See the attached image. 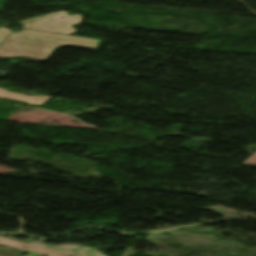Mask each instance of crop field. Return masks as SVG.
Masks as SVG:
<instances>
[{
  "label": "crop field",
  "mask_w": 256,
  "mask_h": 256,
  "mask_svg": "<svg viewBox=\"0 0 256 256\" xmlns=\"http://www.w3.org/2000/svg\"><path fill=\"white\" fill-rule=\"evenodd\" d=\"M24 35H27V37H24ZM16 36L21 39L19 40ZM23 38H27V40H23ZM38 38H41V40H38ZM100 42L88 38L24 29L19 32H12L0 45V58L46 60L58 47L75 46L97 50Z\"/></svg>",
  "instance_id": "obj_1"
},
{
  "label": "crop field",
  "mask_w": 256,
  "mask_h": 256,
  "mask_svg": "<svg viewBox=\"0 0 256 256\" xmlns=\"http://www.w3.org/2000/svg\"><path fill=\"white\" fill-rule=\"evenodd\" d=\"M20 253H29L30 256H105L96 249H87L76 247L65 250L62 248L48 249L41 247L40 243L32 242L24 244L0 237V256H19Z\"/></svg>",
  "instance_id": "obj_2"
},
{
  "label": "crop field",
  "mask_w": 256,
  "mask_h": 256,
  "mask_svg": "<svg viewBox=\"0 0 256 256\" xmlns=\"http://www.w3.org/2000/svg\"><path fill=\"white\" fill-rule=\"evenodd\" d=\"M60 17H64V19H60ZM80 21L81 16H68L67 12L61 11L21 22L28 29L69 34L76 31V29H71L72 25Z\"/></svg>",
  "instance_id": "obj_3"
},
{
  "label": "crop field",
  "mask_w": 256,
  "mask_h": 256,
  "mask_svg": "<svg viewBox=\"0 0 256 256\" xmlns=\"http://www.w3.org/2000/svg\"><path fill=\"white\" fill-rule=\"evenodd\" d=\"M0 97L5 99H14L17 101L27 102L29 104H36V105H43L45 101L51 98V97H44V96H37V97L24 96V95H19V94L11 93L8 91H4L1 89H0Z\"/></svg>",
  "instance_id": "obj_4"
},
{
  "label": "crop field",
  "mask_w": 256,
  "mask_h": 256,
  "mask_svg": "<svg viewBox=\"0 0 256 256\" xmlns=\"http://www.w3.org/2000/svg\"><path fill=\"white\" fill-rule=\"evenodd\" d=\"M11 30L0 28V44L6 39V37L11 33Z\"/></svg>",
  "instance_id": "obj_5"
},
{
  "label": "crop field",
  "mask_w": 256,
  "mask_h": 256,
  "mask_svg": "<svg viewBox=\"0 0 256 256\" xmlns=\"http://www.w3.org/2000/svg\"><path fill=\"white\" fill-rule=\"evenodd\" d=\"M243 164L256 165V153L248 157Z\"/></svg>",
  "instance_id": "obj_6"
},
{
  "label": "crop field",
  "mask_w": 256,
  "mask_h": 256,
  "mask_svg": "<svg viewBox=\"0 0 256 256\" xmlns=\"http://www.w3.org/2000/svg\"><path fill=\"white\" fill-rule=\"evenodd\" d=\"M7 0H0V11Z\"/></svg>",
  "instance_id": "obj_7"
},
{
  "label": "crop field",
  "mask_w": 256,
  "mask_h": 256,
  "mask_svg": "<svg viewBox=\"0 0 256 256\" xmlns=\"http://www.w3.org/2000/svg\"><path fill=\"white\" fill-rule=\"evenodd\" d=\"M42 246H45V245L42 244ZM45 247H46V246H45ZM62 248L69 249V248H72V247H62Z\"/></svg>",
  "instance_id": "obj_8"
}]
</instances>
